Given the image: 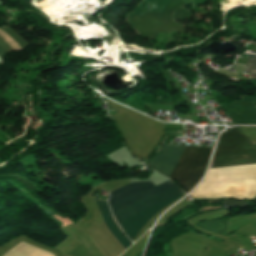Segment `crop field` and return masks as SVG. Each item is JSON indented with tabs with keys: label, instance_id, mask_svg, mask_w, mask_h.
<instances>
[{
	"label": "crop field",
	"instance_id": "6",
	"mask_svg": "<svg viewBox=\"0 0 256 256\" xmlns=\"http://www.w3.org/2000/svg\"><path fill=\"white\" fill-rule=\"evenodd\" d=\"M244 73L255 75L254 78L256 79V56H249L248 64Z\"/></svg>",
	"mask_w": 256,
	"mask_h": 256
},
{
	"label": "crop field",
	"instance_id": "3",
	"mask_svg": "<svg viewBox=\"0 0 256 256\" xmlns=\"http://www.w3.org/2000/svg\"><path fill=\"white\" fill-rule=\"evenodd\" d=\"M256 163V150L236 127L221 134L210 168Z\"/></svg>",
	"mask_w": 256,
	"mask_h": 256
},
{
	"label": "crop field",
	"instance_id": "1",
	"mask_svg": "<svg viewBox=\"0 0 256 256\" xmlns=\"http://www.w3.org/2000/svg\"><path fill=\"white\" fill-rule=\"evenodd\" d=\"M176 188L178 187L170 180L157 186L151 181L132 182L110 192L109 206L117 220ZM182 194L184 193L178 188L117 220L118 224L132 240L157 211L166 207Z\"/></svg>",
	"mask_w": 256,
	"mask_h": 256
},
{
	"label": "crop field",
	"instance_id": "2",
	"mask_svg": "<svg viewBox=\"0 0 256 256\" xmlns=\"http://www.w3.org/2000/svg\"><path fill=\"white\" fill-rule=\"evenodd\" d=\"M189 146L165 145L161 152L154 156L146 165L170 178ZM212 148L191 147L174 171L171 179H175L187 192L201 179L209 161Z\"/></svg>",
	"mask_w": 256,
	"mask_h": 256
},
{
	"label": "crop field",
	"instance_id": "5",
	"mask_svg": "<svg viewBox=\"0 0 256 256\" xmlns=\"http://www.w3.org/2000/svg\"><path fill=\"white\" fill-rule=\"evenodd\" d=\"M249 141H256V127H237Z\"/></svg>",
	"mask_w": 256,
	"mask_h": 256
},
{
	"label": "crop field",
	"instance_id": "7",
	"mask_svg": "<svg viewBox=\"0 0 256 256\" xmlns=\"http://www.w3.org/2000/svg\"><path fill=\"white\" fill-rule=\"evenodd\" d=\"M5 56V52L2 48H0V58L3 59Z\"/></svg>",
	"mask_w": 256,
	"mask_h": 256
},
{
	"label": "crop field",
	"instance_id": "4",
	"mask_svg": "<svg viewBox=\"0 0 256 256\" xmlns=\"http://www.w3.org/2000/svg\"><path fill=\"white\" fill-rule=\"evenodd\" d=\"M94 201L101 212V216L106 227L114 235V237L127 249L132 243L126 238V236L118 229L116 224L113 222L111 212L107 206L106 200L94 198Z\"/></svg>",
	"mask_w": 256,
	"mask_h": 256
}]
</instances>
